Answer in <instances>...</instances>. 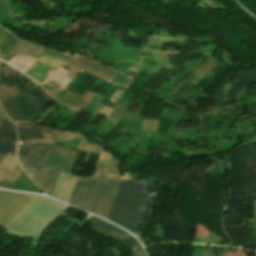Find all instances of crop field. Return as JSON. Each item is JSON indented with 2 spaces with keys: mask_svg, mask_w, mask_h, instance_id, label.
Listing matches in <instances>:
<instances>
[{
  "mask_svg": "<svg viewBox=\"0 0 256 256\" xmlns=\"http://www.w3.org/2000/svg\"><path fill=\"white\" fill-rule=\"evenodd\" d=\"M110 83H112L114 85H120L127 89L129 87V85L132 83V81L127 76L117 72V74L113 77V79L110 81Z\"/></svg>",
  "mask_w": 256,
  "mask_h": 256,
  "instance_id": "d1516ede",
  "label": "crop field"
},
{
  "mask_svg": "<svg viewBox=\"0 0 256 256\" xmlns=\"http://www.w3.org/2000/svg\"><path fill=\"white\" fill-rule=\"evenodd\" d=\"M130 256H145V253L141 246L137 243V245L134 246Z\"/></svg>",
  "mask_w": 256,
  "mask_h": 256,
  "instance_id": "cbeb9de0",
  "label": "crop field"
},
{
  "mask_svg": "<svg viewBox=\"0 0 256 256\" xmlns=\"http://www.w3.org/2000/svg\"><path fill=\"white\" fill-rule=\"evenodd\" d=\"M90 223H92V224L100 227L101 229L105 230L106 232L110 233L111 235H113L118 240L122 241L123 243L133 244V245H136V243H137L136 240L132 236L128 235L127 233L123 232L122 230L118 229L117 227H115L99 218L92 216V218L90 219Z\"/></svg>",
  "mask_w": 256,
  "mask_h": 256,
  "instance_id": "3316defc",
  "label": "crop field"
},
{
  "mask_svg": "<svg viewBox=\"0 0 256 256\" xmlns=\"http://www.w3.org/2000/svg\"><path fill=\"white\" fill-rule=\"evenodd\" d=\"M19 132V141L43 142L41 129L32 123H15Z\"/></svg>",
  "mask_w": 256,
  "mask_h": 256,
  "instance_id": "28ad6ade",
  "label": "crop field"
},
{
  "mask_svg": "<svg viewBox=\"0 0 256 256\" xmlns=\"http://www.w3.org/2000/svg\"><path fill=\"white\" fill-rule=\"evenodd\" d=\"M52 99L24 74L0 61V100L14 121H31Z\"/></svg>",
  "mask_w": 256,
  "mask_h": 256,
  "instance_id": "8a807250",
  "label": "crop field"
},
{
  "mask_svg": "<svg viewBox=\"0 0 256 256\" xmlns=\"http://www.w3.org/2000/svg\"><path fill=\"white\" fill-rule=\"evenodd\" d=\"M144 186L145 183L123 180L107 219L134 234L144 218L151 196L143 193Z\"/></svg>",
  "mask_w": 256,
  "mask_h": 256,
  "instance_id": "ac0d7876",
  "label": "crop field"
},
{
  "mask_svg": "<svg viewBox=\"0 0 256 256\" xmlns=\"http://www.w3.org/2000/svg\"><path fill=\"white\" fill-rule=\"evenodd\" d=\"M64 175H61V177H60V179H59V182H58V184H57V187H56V189H55V192H54V194H53V196L52 197H56V195H57V193H58V190H59V188H60V186H61V184H62V181H63V179H64Z\"/></svg>",
  "mask_w": 256,
  "mask_h": 256,
  "instance_id": "d9b57169",
  "label": "crop field"
},
{
  "mask_svg": "<svg viewBox=\"0 0 256 256\" xmlns=\"http://www.w3.org/2000/svg\"><path fill=\"white\" fill-rule=\"evenodd\" d=\"M9 32L5 31L4 29L0 28V46L11 36Z\"/></svg>",
  "mask_w": 256,
  "mask_h": 256,
  "instance_id": "5142ce71",
  "label": "crop field"
},
{
  "mask_svg": "<svg viewBox=\"0 0 256 256\" xmlns=\"http://www.w3.org/2000/svg\"><path fill=\"white\" fill-rule=\"evenodd\" d=\"M71 57L58 54L47 50L32 66V68L26 73L27 76L34 80L41 82L46 73L52 71L63 63L68 61Z\"/></svg>",
  "mask_w": 256,
  "mask_h": 256,
  "instance_id": "f4fd0767",
  "label": "crop field"
},
{
  "mask_svg": "<svg viewBox=\"0 0 256 256\" xmlns=\"http://www.w3.org/2000/svg\"><path fill=\"white\" fill-rule=\"evenodd\" d=\"M52 145L47 143H19V161L29 178L35 183L38 181Z\"/></svg>",
  "mask_w": 256,
  "mask_h": 256,
  "instance_id": "412701ff",
  "label": "crop field"
},
{
  "mask_svg": "<svg viewBox=\"0 0 256 256\" xmlns=\"http://www.w3.org/2000/svg\"><path fill=\"white\" fill-rule=\"evenodd\" d=\"M65 65L69 66L71 71L68 73L70 76H75L79 71H87L88 73L109 82L111 78L116 74L113 71L97 62L86 59L84 57H76L68 61Z\"/></svg>",
  "mask_w": 256,
  "mask_h": 256,
  "instance_id": "dd49c442",
  "label": "crop field"
},
{
  "mask_svg": "<svg viewBox=\"0 0 256 256\" xmlns=\"http://www.w3.org/2000/svg\"><path fill=\"white\" fill-rule=\"evenodd\" d=\"M121 181L78 177L67 203L106 219Z\"/></svg>",
  "mask_w": 256,
  "mask_h": 256,
  "instance_id": "34b2d1b8",
  "label": "crop field"
},
{
  "mask_svg": "<svg viewBox=\"0 0 256 256\" xmlns=\"http://www.w3.org/2000/svg\"><path fill=\"white\" fill-rule=\"evenodd\" d=\"M44 50L45 48L19 40L2 60L7 62L16 54L38 59Z\"/></svg>",
  "mask_w": 256,
  "mask_h": 256,
  "instance_id": "d8731c3e",
  "label": "crop field"
},
{
  "mask_svg": "<svg viewBox=\"0 0 256 256\" xmlns=\"http://www.w3.org/2000/svg\"><path fill=\"white\" fill-rule=\"evenodd\" d=\"M16 143L0 163V188L9 189L21 170L15 161Z\"/></svg>",
  "mask_w": 256,
  "mask_h": 256,
  "instance_id": "e52e79f7",
  "label": "crop field"
},
{
  "mask_svg": "<svg viewBox=\"0 0 256 256\" xmlns=\"http://www.w3.org/2000/svg\"><path fill=\"white\" fill-rule=\"evenodd\" d=\"M14 142L15 130L13 125L6 118V120L0 126V161L14 144Z\"/></svg>",
  "mask_w": 256,
  "mask_h": 256,
  "instance_id": "5a996713",
  "label": "crop field"
},
{
  "mask_svg": "<svg viewBox=\"0 0 256 256\" xmlns=\"http://www.w3.org/2000/svg\"><path fill=\"white\" fill-rule=\"evenodd\" d=\"M102 98V96L94 94L91 100L89 101L86 110L93 111L95 107L100 103Z\"/></svg>",
  "mask_w": 256,
  "mask_h": 256,
  "instance_id": "22f410ed",
  "label": "crop field"
}]
</instances>
